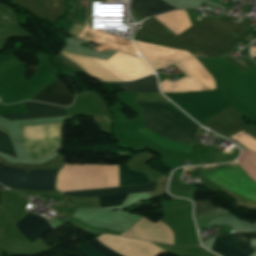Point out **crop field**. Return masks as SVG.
Segmentation results:
<instances>
[{
    "label": "crop field",
    "mask_w": 256,
    "mask_h": 256,
    "mask_svg": "<svg viewBox=\"0 0 256 256\" xmlns=\"http://www.w3.org/2000/svg\"><path fill=\"white\" fill-rule=\"evenodd\" d=\"M143 110L144 126L180 142L193 143L199 128L181 117L163 102H138Z\"/></svg>",
    "instance_id": "obj_1"
},
{
    "label": "crop field",
    "mask_w": 256,
    "mask_h": 256,
    "mask_svg": "<svg viewBox=\"0 0 256 256\" xmlns=\"http://www.w3.org/2000/svg\"><path fill=\"white\" fill-rule=\"evenodd\" d=\"M56 171L7 169L0 165V183L13 188L37 191L54 190Z\"/></svg>",
    "instance_id": "obj_2"
},
{
    "label": "crop field",
    "mask_w": 256,
    "mask_h": 256,
    "mask_svg": "<svg viewBox=\"0 0 256 256\" xmlns=\"http://www.w3.org/2000/svg\"><path fill=\"white\" fill-rule=\"evenodd\" d=\"M246 238H256V232L240 234ZM238 234H223L216 236L211 249L221 256H249L254 250L251 249L249 240Z\"/></svg>",
    "instance_id": "obj_3"
},
{
    "label": "crop field",
    "mask_w": 256,
    "mask_h": 256,
    "mask_svg": "<svg viewBox=\"0 0 256 256\" xmlns=\"http://www.w3.org/2000/svg\"><path fill=\"white\" fill-rule=\"evenodd\" d=\"M23 104L27 114H11L0 116L9 121L68 116L65 108L62 107L52 106L39 102H23Z\"/></svg>",
    "instance_id": "obj_4"
},
{
    "label": "crop field",
    "mask_w": 256,
    "mask_h": 256,
    "mask_svg": "<svg viewBox=\"0 0 256 256\" xmlns=\"http://www.w3.org/2000/svg\"><path fill=\"white\" fill-rule=\"evenodd\" d=\"M16 224L31 242H34L52 229L43 217L33 215L32 213L28 214Z\"/></svg>",
    "instance_id": "obj_5"
},
{
    "label": "crop field",
    "mask_w": 256,
    "mask_h": 256,
    "mask_svg": "<svg viewBox=\"0 0 256 256\" xmlns=\"http://www.w3.org/2000/svg\"><path fill=\"white\" fill-rule=\"evenodd\" d=\"M32 100L44 101L60 106H69L72 103L73 97L69 96L57 79Z\"/></svg>",
    "instance_id": "obj_6"
},
{
    "label": "crop field",
    "mask_w": 256,
    "mask_h": 256,
    "mask_svg": "<svg viewBox=\"0 0 256 256\" xmlns=\"http://www.w3.org/2000/svg\"><path fill=\"white\" fill-rule=\"evenodd\" d=\"M155 183L156 182L145 184V185H140V186H129V187H123V188H114V189H100V190L68 192V193H64V195L79 196V197H95V196L123 194V193L131 194V193H138V192H147V191L154 190Z\"/></svg>",
    "instance_id": "obj_7"
},
{
    "label": "crop field",
    "mask_w": 256,
    "mask_h": 256,
    "mask_svg": "<svg viewBox=\"0 0 256 256\" xmlns=\"http://www.w3.org/2000/svg\"><path fill=\"white\" fill-rule=\"evenodd\" d=\"M116 84L125 92H159L156 86V78L154 75L136 82Z\"/></svg>",
    "instance_id": "obj_8"
},
{
    "label": "crop field",
    "mask_w": 256,
    "mask_h": 256,
    "mask_svg": "<svg viewBox=\"0 0 256 256\" xmlns=\"http://www.w3.org/2000/svg\"><path fill=\"white\" fill-rule=\"evenodd\" d=\"M160 0H133L131 9L146 18L159 12Z\"/></svg>",
    "instance_id": "obj_9"
},
{
    "label": "crop field",
    "mask_w": 256,
    "mask_h": 256,
    "mask_svg": "<svg viewBox=\"0 0 256 256\" xmlns=\"http://www.w3.org/2000/svg\"><path fill=\"white\" fill-rule=\"evenodd\" d=\"M87 244H89L92 248H94L96 251H98L99 253H101L104 256H120L114 252H112L111 250H109L107 247H105L104 245L100 244L96 239L93 241L88 242ZM86 243L77 246L78 249L85 255V256H102L101 254H99L98 252H96L94 249H92L89 245H87Z\"/></svg>",
    "instance_id": "obj_10"
},
{
    "label": "crop field",
    "mask_w": 256,
    "mask_h": 256,
    "mask_svg": "<svg viewBox=\"0 0 256 256\" xmlns=\"http://www.w3.org/2000/svg\"><path fill=\"white\" fill-rule=\"evenodd\" d=\"M238 162L248 175L256 181V154L242 150V155Z\"/></svg>",
    "instance_id": "obj_11"
},
{
    "label": "crop field",
    "mask_w": 256,
    "mask_h": 256,
    "mask_svg": "<svg viewBox=\"0 0 256 256\" xmlns=\"http://www.w3.org/2000/svg\"><path fill=\"white\" fill-rule=\"evenodd\" d=\"M127 195L99 197L101 207L121 205Z\"/></svg>",
    "instance_id": "obj_12"
},
{
    "label": "crop field",
    "mask_w": 256,
    "mask_h": 256,
    "mask_svg": "<svg viewBox=\"0 0 256 256\" xmlns=\"http://www.w3.org/2000/svg\"><path fill=\"white\" fill-rule=\"evenodd\" d=\"M0 152L15 156L8 136L2 132H0Z\"/></svg>",
    "instance_id": "obj_13"
},
{
    "label": "crop field",
    "mask_w": 256,
    "mask_h": 256,
    "mask_svg": "<svg viewBox=\"0 0 256 256\" xmlns=\"http://www.w3.org/2000/svg\"><path fill=\"white\" fill-rule=\"evenodd\" d=\"M214 208L215 207L209 201L195 202L194 215L197 216Z\"/></svg>",
    "instance_id": "obj_14"
},
{
    "label": "crop field",
    "mask_w": 256,
    "mask_h": 256,
    "mask_svg": "<svg viewBox=\"0 0 256 256\" xmlns=\"http://www.w3.org/2000/svg\"><path fill=\"white\" fill-rule=\"evenodd\" d=\"M0 188H4V187L0 186Z\"/></svg>",
    "instance_id": "obj_15"
},
{
    "label": "crop field",
    "mask_w": 256,
    "mask_h": 256,
    "mask_svg": "<svg viewBox=\"0 0 256 256\" xmlns=\"http://www.w3.org/2000/svg\"><path fill=\"white\" fill-rule=\"evenodd\" d=\"M254 59H255V61H256V57H255Z\"/></svg>",
    "instance_id": "obj_16"
},
{
    "label": "crop field",
    "mask_w": 256,
    "mask_h": 256,
    "mask_svg": "<svg viewBox=\"0 0 256 256\" xmlns=\"http://www.w3.org/2000/svg\"><path fill=\"white\" fill-rule=\"evenodd\" d=\"M165 68H167V67H165ZM165 68H164V69H165Z\"/></svg>",
    "instance_id": "obj_17"
}]
</instances>
